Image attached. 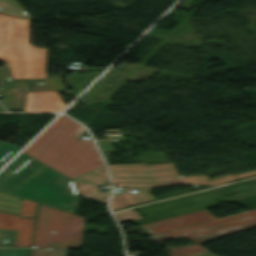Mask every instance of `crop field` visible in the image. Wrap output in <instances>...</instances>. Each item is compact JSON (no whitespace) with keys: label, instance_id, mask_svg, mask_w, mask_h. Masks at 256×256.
<instances>
[{"label":"crop field","instance_id":"crop-field-1","mask_svg":"<svg viewBox=\"0 0 256 256\" xmlns=\"http://www.w3.org/2000/svg\"><path fill=\"white\" fill-rule=\"evenodd\" d=\"M84 127L61 115L23 152L72 178L103 165L92 141L78 137Z\"/></svg>","mask_w":256,"mask_h":256},{"label":"crop field","instance_id":"crop-field-2","mask_svg":"<svg viewBox=\"0 0 256 256\" xmlns=\"http://www.w3.org/2000/svg\"><path fill=\"white\" fill-rule=\"evenodd\" d=\"M0 59L14 79L46 77V49L28 44V20L0 14Z\"/></svg>","mask_w":256,"mask_h":256},{"label":"crop field","instance_id":"crop-field-3","mask_svg":"<svg viewBox=\"0 0 256 256\" xmlns=\"http://www.w3.org/2000/svg\"><path fill=\"white\" fill-rule=\"evenodd\" d=\"M113 183L127 187H159L179 183L215 185L231 180L256 175V171L207 180L205 175L178 177L173 163L109 165Z\"/></svg>","mask_w":256,"mask_h":256},{"label":"crop field","instance_id":"crop-field-4","mask_svg":"<svg viewBox=\"0 0 256 256\" xmlns=\"http://www.w3.org/2000/svg\"><path fill=\"white\" fill-rule=\"evenodd\" d=\"M256 227V209L238 214L181 227L157 234L156 239H164L183 234L198 244ZM198 244L170 249V256H189L208 251Z\"/></svg>","mask_w":256,"mask_h":256},{"label":"crop field","instance_id":"crop-field-5","mask_svg":"<svg viewBox=\"0 0 256 256\" xmlns=\"http://www.w3.org/2000/svg\"><path fill=\"white\" fill-rule=\"evenodd\" d=\"M84 218L39 204L33 245L77 248L81 246ZM55 231V234H51Z\"/></svg>","mask_w":256,"mask_h":256},{"label":"crop field","instance_id":"crop-field-6","mask_svg":"<svg viewBox=\"0 0 256 256\" xmlns=\"http://www.w3.org/2000/svg\"><path fill=\"white\" fill-rule=\"evenodd\" d=\"M24 198L52 205L73 212L79 200L75 182L72 179L41 190Z\"/></svg>","mask_w":256,"mask_h":256},{"label":"crop field","instance_id":"crop-field-7","mask_svg":"<svg viewBox=\"0 0 256 256\" xmlns=\"http://www.w3.org/2000/svg\"><path fill=\"white\" fill-rule=\"evenodd\" d=\"M43 165L44 164L22 152L0 172V191L10 193L29 175Z\"/></svg>","mask_w":256,"mask_h":256},{"label":"crop field","instance_id":"crop-field-8","mask_svg":"<svg viewBox=\"0 0 256 256\" xmlns=\"http://www.w3.org/2000/svg\"><path fill=\"white\" fill-rule=\"evenodd\" d=\"M67 179L69 178L44 165L22 182L11 194L24 197Z\"/></svg>","mask_w":256,"mask_h":256},{"label":"crop field","instance_id":"crop-field-9","mask_svg":"<svg viewBox=\"0 0 256 256\" xmlns=\"http://www.w3.org/2000/svg\"><path fill=\"white\" fill-rule=\"evenodd\" d=\"M215 217L210 214L206 209L184 214L181 216L161 220L158 222L138 226L139 228L143 229L149 234L181 227V226H186L210 219H214Z\"/></svg>","mask_w":256,"mask_h":256},{"label":"crop field","instance_id":"crop-field-10","mask_svg":"<svg viewBox=\"0 0 256 256\" xmlns=\"http://www.w3.org/2000/svg\"><path fill=\"white\" fill-rule=\"evenodd\" d=\"M34 219L0 212V228L17 230L15 246H30Z\"/></svg>","mask_w":256,"mask_h":256},{"label":"crop field","instance_id":"crop-field-11","mask_svg":"<svg viewBox=\"0 0 256 256\" xmlns=\"http://www.w3.org/2000/svg\"><path fill=\"white\" fill-rule=\"evenodd\" d=\"M65 107L56 91L27 93L25 111H61Z\"/></svg>","mask_w":256,"mask_h":256},{"label":"crop field","instance_id":"crop-field-12","mask_svg":"<svg viewBox=\"0 0 256 256\" xmlns=\"http://www.w3.org/2000/svg\"><path fill=\"white\" fill-rule=\"evenodd\" d=\"M65 90L61 78L26 79V92Z\"/></svg>","mask_w":256,"mask_h":256},{"label":"crop field","instance_id":"crop-field-13","mask_svg":"<svg viewBox=\"0 0 256 256\" xmlns=\"http://www.w3.org/2000/svg\"><path fill=\"white\" fill-rule=\"evenodd\" d=\"M4 106L9 111H23L24 93L16 92V89L0 90Z\"/></svg>","mask_w":256,"mask_h":256},{"label":"crop field","instance_id":"crop-field-14","mask_svg":"<svg viewBox=\"0 0 256 256\" xmlns=\"http://www.w3.org/2000/svg\"><path fill=\"white\" fill-rule=\"evenodd\" d=\"M0 12L6 15L29 19L28 14L17 4L15 0H0Z\"/></svg>","mask_w":256,"mask_h":256},{"label":"crop field","instance_id":"crop-field-15","mask_svg":"<svg viewBox=\"0 0 256 256\" xmlns=\"http://www.w3.org/2000/svg\"><path fill=\"white\" fill-rule=\"evenodd\" d=\"M20 204L19 198L0 192V211L18 214Z\"/></svg>","mask_w":256,"mask_h":256},{"label":"crop field","instance_id":"crop-field-16","mask_svg":"<svg viewBox=\"0 0 256 256\" xmlns=\"http://www.w3.org/2000/svg\"><path fill=\"white\" fill-rule=\"evenodd\" d=\"M0 81H2L3 89L19 87L20 91H25V81L12 80L7 68L0 69Z\"/></svg>","mask_w":256,"mask_h":256},{"label":"crop field","instance_id":"crop-field-17","mask_svg":"<svg viewBox=\"0 0 256 256\" xmlns=\"http://www.w3.org/2000/svg\"><path fill=\"white\" fill-rule=\"evenodd\" d=\"M19 147L0 142V167L3 166L13 155L18 152Z\"/></svg>","mask_w":256,"mask_h":256},{"label":"crop field","instance_id":"crop-field-18","mask_svg":"<svg viewBox=\"0 0 256 256\" xmlns=\"http://www.w3.org/2000/svg\"><path fill=\"white\" fill-rule=\"evenodd\" d=\"M67 249H32L31 256H66Z\"/></svg>","mask_w":256,"mask_h":256},{"label":"crop field","instance_id":"crop-field-19","mask_svg":"<svg viewBox=\"0 0 256 256\" xmlns=\"http://www.w3.org/2000/svg\"><path fill=\"white\" fill-rule=\"evenodd\" d=\"M16 231L0 229V246H14Z\"/></svg>","mask_w":256,"mask_h":256},{"label":"crop field","instance_id":"crop-field-20","mask_svg":"<svg viewBox=\"0 0 256 256\" xmlns=\"http://www.w3.org/2000/svg\"><path fill=\"white\" fill-rule=\"evenodd\" d=\"M36 203L22 199L19 215L23 217H34Z\"/></svg>","mask_w":256,"mask_h":256},{"label":"crop field","instance_id":"crop-field-21","mask_svg":"<svg viewBox=\"0 0 256 256\" xmlns=\"http://www.w3.org/2000/svg\"><path fill=\"white\" fill-rule=\"evenodd\" d=\"M115 216L118 219L119 223L141 218L133 209L115 213Z\"/></svg>","mask_w":256,"mask_h":256},{"label":"crop field","instance_id":"crop-field-22","mask_svg":"<svg viewBox=\"0 0 256 256\" xmlns=\"http://www.w3.org/2000/svg\"><path fill=\"white\" fill-rule=\"evenodd\" d=\"M30 249L0 248V256H29Z\"/></svg>","mask_w":256,"mask_h":256},{"label":"crop field","instance_id":"crop-field-23","mask_svg":"<svg viewBox=\"0 0 256 256\" xmlns=\"http://www.w3.org/2000/svg\"><path fill=\"white\" fill-rule=\"evenodd\" d=\"M102 152L114 151L110 143H106L105 140L97 141Z\"/></svg>","mask_w":256,"mask_h":256},{"label":"crop field","instance_id":"crop-field-24","mask_svg":"<svg viewBox=\"0 0 256 256\" xmlns=\"http://www.w3.org/2000/svg\"><path fill=\"white\" fill-rule=\"evenodd\" d=\"M194 256H214V255L206 252V253H202V254H198V255H194Z\"/></svg>","mask_w":256,"mask_h":256},{"label":"crop field","instance_id":"crop-field-25","mask_svg":"<svg viewBox=\"0 0 256 256\" xmlns=\"http://www.w3.org/2000/svg\"><path fill=\"white\" fill-rule=\"evenodd\" d=\"M0 111H4L3 108L0 106Z\"/></svg>","mask_w":256,"mask_h":256}]
</instances>
